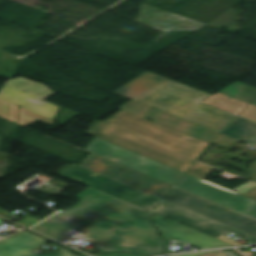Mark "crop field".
I'll return each mask as SVG.
<instances>
[{
  "instance_id": "obj_1",
  "label": "crop field",
  "mask_w": 256,
  "mask_h": 256,
  "mask_svg": "<svg viewBox=\"0 0 256 256\" xmlns=\"http://www.w3.org/2000/svg\"><path fill=\"white\" fill-rule=\"evenodd\" d=\"M80 202L32 228L60 242L76 239L70 229L88 233L100 252L161 253L165 243L150 222L151 212L89 187ZM174 253L165 249L163 254Z\"/></svg>"
},
{
  "instance_id": "obj_2",
  "label": "crop field",
  "mask_w": 256,
  "mask_h": 256,
  "mask_svg": "<svg viewBox=\"0 0 256 256\" xmlns=\"http://www.w3.org/2000/svg\"><path fill=\"white\" fill-rule=\"evenodd\" d=\"M88 134L184 172L208 145L123 110L95 121Z\"/></svg>"
},
{
  "instance_id": "obj_3",
  "label": "crop field",
  "mask_w": 256,
  "mask_h": 256,
  "mask_svg": "<svg viewBox=\"0 0 256 256\" xmlns=\"http://www.w3.org/2000/svg\"><path fill=\"white\" fill-rule=\"evenodd\" d=\"M206 96L166 80L133 100L220 132L236 115L200 102Z\"/></svg>"
},
{
  "instance_id": "obj_4",
  "label": "crop field",
  "mask_w": 256,
  "mask_h": 256,
  "mask_svg": "<svg viewBox=\"0 0 256 256\" xmlns=\"http://www.w3.org/2000/svg\"><path fill=\"white\" fill-rule=\"evenodd\" d=\"M85 151L150 175L174 186L177 185L185 174L182 171L150 160L96 137L89 143Z\"/></svg>"
},
{
  "instance_id": "obj_5",
  "label": "crop field",
  "mask_w": 256,
  "mask_h": 256,
  "mask_svg": "<svg viewBox=\"0 0 256 256\" xmlns=\"http://www.w3.org/2000/svg\"><path fill=\"white\" fill-rule=\"evenodd\" d=\"M61 174L68 177L75 175L83 179L80 182L88 186H91L100 191L118 197L122 200L140 206L149 211H151L161 201V199L147 194L143 191H140L134 187H131L127 184L106 177L104 175L98 174L96 172L90 171L88 169L82 168L75 164L71 165Z\"/></svg>"
},
{
  "instance_id": "obj_6",
  "label": "crop field",
  "mask_w": 256,
  "mask_h": 256,
  "mask_svg": "<svg viewBox=\"0 0 256 256\" xmlns=\"http://www.w3.org/2000/svg\"><path fill=\"white\" fill-rule=\"evenodd\" d=\"M165 200L256 236V221L175 188Z\"/></svg>"
},
{
  "instance_id": "obj_7",
  "label": "crop field",
  "mask_w": 256,
  "mask_h": 256,
  "mask_svg": "<svg viewBox=\"0 0 256 256\" xmlns=\"http://www.w3.org/2000/svg\"><path fill=\"white\" fill-rule=\"evenodd\" d=\"M80 166L120 180L161 199L174 188L92 154L88 155Z\"/></svg>"
},
{
  "instance_id": "obj_8",
  "label": "crop field",
  "mask_w": 256,
  "mask_h": 256,
  "mask_svg": "<svg viewBox=\"0 0 256 256\" xmlns=\"http://www.w3.org/2000/svg\"><path fill=\"white\" fill-rule=\"evenodd\" d=\"M177 187L256 218L255 200L210 185L202 179L186 174Z\"/></svg>"
},
{
  "instance_id": "obj_9",
  "label": "crop field",
  "mask_w": 256,
  "mask_h": 256,
  "mask_svg": "<svg viewBox=\"0 0 256 256\" xmlns=\"http://www.w3.org/2000/svg\"><path fill=\"white\" fill-rule=\"evenodd\" d=\"M154 212L214 238L232 232L246 238L253 244L256 243V237L205 218L165 200Z\"/></svg>"
},
{
  "instance_id": "obj_10",
  "label": "crop field",
  "mask_w": 256,
  "mask_h": 256,
  "mask_svg": "<svg viewBox=\"0 0 256 256\" xmlns=\"http://www.w3.org/2000/svg\"><path fill=\"white\" fill-rule=\"evenodd\" d=\"M152 220L164 239L179 240L201 249L231 246L153 213Z\"/></svg>"
},
{
  "instance_id": "obj_11",
  "label": "crop field",
  "mask_w": 256,
  "mask_h": 256,
  "mask_svg": "<svg viewBox=\"0 0 256 256\" xmlns=\"http://www.w3.org/2000/svg\"><path fill=\"white\" fill-rule=\"evenodd\" d=\"M49 242L25 230L0 242V256H78L67 249L50 244L58 249L57 252L33 253V249Z\"/></svg>"
},
{
  "instance_id": "obj_12",
  "label": "crop field",
  "mask_w": 256,
  "mask_h": 256,
  "mask_svg": "<svg viewBox=\"0 0 256 256\" xmlns=\"http://www.w3.org/2000/svg\"><path fill=\"white\" fill-rule=\"evenodd\" d=\"M0 98L14 105H21V107L47 117L51 120L54 119L59 110V107L54 104L48 103L39 98L33 97L7 86H3L0 92Z\"/></svg>"
},
{
  "instance_id": "obj_13",
  "label": "crop field",
  "mask_w": 256,
  "mask_h": 256,
  "mask_svg": "<svg viewBox=\"0 0 256 256\" xmlns=\"http://www.w3.org/2000/svg\"><path fill=\"white\" fill-rule=\"evenodd\" d=\"M166 78L146 72L135 80L115 90L113 93L131 99L140 93L154 87Z\"/></svg>"
},
{
  "instance_id": "obj_14",
  "label": "crop field",
  "mask_w": 256,
  "mask_h": 256,
  "mask_svg": "<svg viewBox=\"0 0 256 256\" xmlns=\"http://www.w3.org/2000/svg\"><path fill=\"white\" fill-rule=\"evenodd\" d=\"M4 85L23 91L25 93L31 94L33 96L39 97L44 100L52 96L53 94H55L51 90L46 88L44 85L38 82L20 78V77L16 79H11Z\"/></svg>"
},
{
  "instance_id": "obj_15",
  "label": "crop field",
  "mask_w": 256,
  "mask_h": 256,
  "mask_svg": "<svg viewBox=\"0 0 256 256\" xmlns=\"http://www.w3.org/2000/svg\"><path fill=\"white\" fill-rule=\"evenodd\" d=\"M222 134L245 141L256 136V123L239 117Z\"/></svg>"
},
{
  "instance_id": "obj_16",
  "label": "crop field",
  "mask_w": 256,
  "mask_h": 256,
  "mask_svg": "<svg viewBox=\"0 0 256 256\" xmlns=\"http://www.w3.org/2000/svg\"><path fill=\"white\" fill-rule=\"evenodd\" d=\"M203 102L222 108L237 115H239L242 110L248 105V103L221 94L219 92L213 94Z\"/></svg>"
},
{
  "instance_id": "obj_17",
  "label": "crop field",
  "mask_w": 256,
  "mask_h": 256,
  "mask_svg": "<svg viewBox=\"0 0 256 256\" xmlns=\"http://www.w3.org/2000/svg\"><path fill=\"white\" fill-rule=\"evenodd\" d=\"M219 92H222L224 94L230 95L232 97H235V98H238L240 100L250 103V101L256 95V88L236 82V83L220 90Z\"/></svg>"
},
{
  "instance_id": "obj_18",
  "label": "crop field",
  "mask_w": 256,
  "mask_h": 256,
  "mask_svg": "<svg viewBox=\"0 0 256 256\" xmlns=\"http://www.w3.org/2000/svg\"><path fill=\"white\" fill-rule=\"evenodd\" d=\"M214 168H211L209 166L203 165L201 163L196 162L194 166L189 170L188 174L194 175L199 178H206Z\"/></svg>"
},
{
  "instance_id": "obj_19",
  "label": "crop field",
  "mask_w": 256,
  "mask_h": 256,
  "mask_svg": "<svg viewBox=\"0 0 256 256\" xmlns=\"http://www.w3.org/2000/svg\"><path fill=\"white\" fill-rule=\"evenodd\" d=\"M238 140H235L233 138L227 137L225 135L220 134L217 139L214 141V143L222 145L224 147H227L231 145L232 143L236 142Z\"/></svg>"
},
{
  "instance_id": "obj_20",
  "label": "crop field",
  "mask_w": 256,
  "mask_h": 256,
  "mask_svg": "<svg viewBox=\"0 0 256 256\" xmlns=\"http://www.w3.org/2000/svg\"><path fill=\"white\" fill-rule=\"evenodd\" d=\"M241 116L256 121V106L250 104V105L244 110V112L242 113Z\"/></svg>"
},
{
  "instance_id": "obj_21",
  "label": "crop field",
  "mask_w": 256,
  "mask_h": 256,
  "mask_svg": "<svg viewBox=\"0 0 256 256\" xmlns=\"http://www.w3.org/2000/svg\"><path fill=\"white\" fill-rule=\"evenodd\" d=\"M20 217H22L24 219L19 221V222H17V223L25 225L27 227H29V226L33 225L34 223L38 222V220H36V219H34V218L30 217V216H20Z\"/></svg>"
},
{
  "instance_id": "obj_22",
  "label": "crop field",
  "mask_w": 256,
  "mask_h": 256,
  "mask_svg": "<svg viewBox=\"0 0 256 256\" xmlns=\"http://www.w3.org/2000/svg\"><path fill=\"white\" fill-rule=\"evenodd\" d=\"M249 172L252 177V181L256 182V161L249 167Z\"/></svg>"
},
{
  "instance_id": "obj_23",
  "label": "crop field",
  "mask_w": 256,
  "mask_h": 256,
  "mask_svg": "<svg viewBox=\"0 0 256 256\" xmlns=\"http://www.w3.org/2000/svg\"><path fill=\"white\" fill-rule=\"evenodd\" d=\"M93 256H136L131 253H120V254H99V255H93Z\"/></svg>"
},
{
  "instance_id": "obj_24",
  "label": "crop field",
  "mask_w": 256,
  "mask_h": 256,
  "mask_svg": "<svg viewBox=\"0 0 256 256\" xmlns=\"http://www.w3.org/2000/svg\"><path fill=\"white\" fill-rule=\"evenodd\" d=\"M244 195L256 200V188H254L253 190L247 192Z\"/></svg>"
},
{
  "instance_id": "obj_25",
  "label": "crop field",
  "mask_w": 256,
  "mask_h": 256,
  "mask_svg": "<svg viewBox=\"0 0 256 256\" xmlns=\"http://www.w3.org/2000/svg\"><path fill=\"white\" fill-rule=\"evenodd\" d=\"M9 215H11V214H9V213H7V212H5V211H3V210H0V216L6 218V217L9 216Z\"/></svg>"
},
{
  "instance_id": "obj_26",
  "label": "crop field",
  "mask_w": 256,
  "mask_h": 256,
  "mask_svg": "<svg viewBox=\"0 0 256 256\" xmlns=\"http://www.w3.org/2000/svg\"><path fill=\"white\" fill-rule=\"evenodd\" d=\"M245 142L250 143V144H253V145H256V137H254V138H252V139H250V140H247V141H245Z\"/></svg>"
},
{
  "instance_id": "obj_27",
  "label": "crop field",
  "mask_w": 256,
  "mask_h": 256,
  "mask_svg": "<svg viewBox=\"0 0 256 256\" xmlns=\"http://www.w3.org/2000/svg\"><path fill=\"white\" fill-rule=\"evenodd\" d=\"M225 254H226V256H239L232 251H227V252H225Z\"/></svg>"
},
{
  "instance_id": "obj_28",
  "label": "crop field",
  "mask_w": 256,
  "mask_h": 256,
  "mask_svg": "<svg viewBox=\"0 0 256 256\" xmlns=\"http://www.w3.org/2000/svg\"><path fill=\"white\" fill-rule=\"evenodd\" d=\"M208 256H224L223 253H216V254H212V255H208Z\"/></svg>"
},
{
  "instance_id": "obj_29",
  "label": "crop field",
  "mask_w": 256,
  "mask_h": 256,
  "mask_svg": "<svg viewBox=\"0 0 256 256\" xmlns=\"http://www.w3.org/2000/svg\"><path fill=\"white\" fill-rule=\"evenodd\" d=\"M244 253H245L247 256L253 255V254H251V253H249V252H247V251H244Z\"/></svg>"
},
{
  "instance_id": "obj_30",
  "label": "crop field",
  "mask_w": 256,
  "mask_h": 256,
  "mask_svg": "<svg viewBox=\"0 0 256 256\" xmlns=\"http://www.w3.org/2000/svg\"><path fill=\"white\" fill-rule=\"evenodd\" d=\"M230 249H233V250H235L237 253H239L235 248H230ZM224 250H226V249H224ZM240 255H242L241 253H239ZM242 256H244V255H242Z\"/></svg>"
},
{
  "instance_id": "obj_31",
  "label": "crop field",
  "mask_w": 256,
  "mask_h": 256,
  "mask_svg": "<svg viewBox=\"0 0 256 256\" xmlns=\"http://www.w3.org/2000/svg\"><path fill=\"white\" fill-rule=\"evenodd\" d=\"M252 104H255V105H256V98L253 100Z\"/></svg>"
},
{
  "instance_id": "obj_32",
  "label": "crop field",
  "mask_w": 256,
  "mask_h": 256,
  "mask_svg": "<svg viewBox=\"0 0 256 256\" xmlns=\"http://www.w3.org/2000/svg\"><path fill=\"white\" fill-rule=\"evenodd\" d=\"M1 222H3V221L0 220V223H1Z\"/></svg>"
},
{
  "instance_id": "obj_33",
  "label": "crop field",
  "mask_w": 256,
  "mask_h": 256,
  "mask_svg": "<svg viewBox=\"0 0 256 256\" xmlns=\"http://www.w3.org/2000/svg\"><path fill=\"white\" fill-rule=\"evenodd\" d=\"M1 240V239H0Z\"/></svg>"
}]
</instances>
